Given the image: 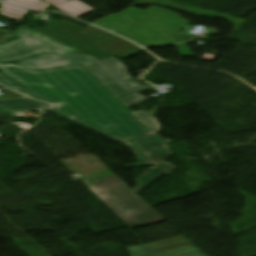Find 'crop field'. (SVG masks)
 Instances as JSON below:
<instances>
[{
  "label": "crop field",
  "instance_id": "crop-field-10",
  "mask_svg": "<svg viewBox=\"0 0 256 256\" xmlns=\"http://www.w3.org/2000/svg\"><path fill=\"white\" fill-rule=\"evenodd\" d=\"M50 4L54 5L56 8L64 11L65 13L78 18L82 15L90 13L94 11L93 9L89 8L88 6L82 4L77 0H45ZM6 3H10L19 7L27 8L30 10L42 11L48 6V3L41 2L40 0H9L3 1Z\"/></svg>",
  "mask_w": 256,
  "mask_h": 256
},
{
  "label": "crop field",
  "instance_id": "crop-field-9",
  "mask_svg": "<svg viewBox=\"0 0 256 256\" xmlns=\"http://www.w3.org/2000/svg\"><path fill=\"white\" fill-rule=\"evenodd\" d=\"M91 46L97 48L98 50H94L87 54L99 60L110 58L113 56H119L122 59H126L134 54L143 51V49H141L140 47L116 36L98 42Z\"/></svg>",
  "mask_w": 256,
  "mask_h": 256
},
{
  "label": "crop field",
  "instance_id": "crop-field-12",
  "mask_svg": "<svg viewBox=\"0 0 256 256\" xmlns=\"http://www.w3.org/2000/svg\"><path fill=\"white\" fill-rule=\"evenodd\" d=\"M50 106L40 103L26 97L16 100H0V116H16L23 117V112L27 111H43Z\"/></svg>",
  "mask_w": 256,
  "mask_h": 256
},
{
  "label": "crop field",
  "instance_id": "crop-field-2",
  "mask_svg": "<svg viewBox=\"0 0 256 256\" xmlns=\"http://www.w3.org/2000/svg\"><path fill=\"white\" fill-rule=\"evenodd\" d=\"M0 72L35 99L53 104L103 84L82 65L34 71L18 64H0Z\"/></svg>",
  "mask_w": 256,
  "mask_h": 256
},
{
  "label": "crop field",
  "instance_id": "crop-field-7",
  "mask_svg": "<svg viewBox=\"0 0 256 256\" xmlns=\"http://www.w3.org/2000/svg\"><path fill=\"white\" fill-rule=\"evenodd\" d=\"M101 80L119 99L131 96L149 87H142L127 76L124 65L113 58L83 65Z\"/></svg>",
  "mask_w": 256,
  "mask_h": 256
},
{
  "label": "crop field",
  "instance_id": "crop-field-17",
  "mask_svg": "<svg viewBox=\"0 0 256 256\" xmlns=\"http://www.w3.org/2000/svg\"><path fill=\"white\" fill-rule=\"evenodd\" d=\"M0 83L11 88L14 89L20 93H23L27 96H29L26 92H24L19 86H17L10 78L4 77V76H0ZM31 97V96H29Z\"/></svg>",
  "mask_w": 256,
  "mask_h": 256
},
{
  "label": "crop field",
  "instance_id": "crop-field-11",
  "mask_svg": "<svg viewBox=\"0 0 256 256\" xmlns=\"http://www.w3.org/2000/svg\"><path fill=\"white\" fill-rule=\"evenodd\" d=\"M97 61V59L86 54L71 55H40L18 64L29 69H44L58 66H71Z\"/></svg>",
  "mask_w": 256,
  "mask_h": 256
},
{
  "label": "crop field",
  "instance_id": "crop-field-3",
  "mask_svg": "<svg viewBox=\"0 0 256 256\" xmlns=\"http://www.w3.org/2000/svg\"><path fill=\"white\" fill-rule=\"evenodd\" d=\"M187 23L175 13L164 9L151 7L141 12L131 7L92 24L143 46H151L178 43L164 35Z\"/></svg>",
  "mask_w": 256,
  "mask_h": 256
},
{
  "label": "crop field",
  "instance_id": "crop-field-5",
  "mask_svg": "<svg viewBox=\"0 0 256 256\" xmlns=\"http://www.w3.org/2000/svg\"><path fill=\"white\" fill-rule=\"evenodd\" d=\"M11 33L19 39L0 46V63L16 62L39 53L79 52L25 26Z\"/></svg>",
  "mask_w": 256,
  "mask_h": 256
},
{
  "label": "crop field",
  "instance_id": "crop-field-14",
  "mask_svg": "<svg viewBox=\"0 0 256 256\" xmlns=\"http://www.w3.org/2000/svg\"><path fill=\"white\" fill-rule=\"evenodd\" d=\"M151 256H205L194 245L151 255Z\"/></svg>",
  "mask_w": 256,
  "mask_h": 256
},
{
  "label": "crop field",
  "instance_id": "crop-field-4",
  "mask_svg": "<svg viewBox=\"0 0 256 256\" xmlns=\"http://www.w3.org/2000/svg\"><path fill=\"white\" fill-rule=\"evenodd\" d=\"M93 186L90 189L131 228L164 221L116 176L98 180Z\"/></svg>",
  "mask_w": 256,
  "mask_h": 256
},
{
  "label": "crop field",
  "instance_id": "crop-field-13",
  "mask_svg": "<svg viewBox=\"0 0 256 256\" xmlns=\"http://www.w3.org/2000/svg\"><path fill=\"white\" fill-rule=\"evenodd\" d=\"M187 245H191V243L181 236L143 246H131L126 250L130 252L131 256H146Z\"/></svg>",
  "mask_w": 256,
  "mask_h": 256
},
{
  "label": "crop field",
  "instance_id": "crop-field-1",
  "mask_svg": "<svg viewBox=\"0 0 256 256\" xmlns=\"http://www.w3.org/2000/svg\"><path fill=\"white\" fill-rule=\"evenodd\" d=\"M73 105L64 107L78 112L91 121L53 106L49 111L110 139L131 146L140 162L137 167L154 163L133 139L151 134L150 131L105 85L67 99Z\"/></svg>",
  "mask_w": 256,
  "mask_h": 256
},
{
  "label": "crop field",
  "instance_id": "crop-field-19",
  "mask_svg": "<svg viewBox=\"0 0 256 256\" xmlns=\"http://www.w3.org/2000/svg\"><path fill=\"white\" fill-rule=\"evenodd\" d=\"M64 109V108H63ZM67 110V109H66ZM69 111V110H68ZM70 112H72V111H70ZM73 113H75V112H73ZM75 114H77V113H75ZM79 115V114H78ZM81 116V115H80ZM83 117V116H82ZM83 118H85V117H83ZM85 119H87V118H85ZM88 120V119H87ZM90 121V120H89Z\"/></svg>",
  "mask_w": 256,
  "mask_h": 256
},
{
  "label": "crop field",
  "instance_id": "crop-field-18",
  "mask_svg": "<svg viewBox=\"0 0 256 256\" xmlns=\"http://www.w3.org/2000/svg\"><path fill=\"white\" fill-rule=\"evenodd\" d=\"M144 100H147V99L139 94L121 99V101L124 102L127 105V107L134 105L136 103L142 102Z\"/></svg>",
  "mask_w": 256,
  "mask_h": 256
},
{
  "label": "crop field",
  "instance_id": "crop-field-8",
  "mask_svg": "<svg viewBox=\"0 0 256 256\" xmlns=\"http://www.w3.org/2000/svg\"><path fill=\"white\" fill-rule=\"evenodd\" d=\"M139 147L149 156V158L157 165L146 172L138 179L139 186L133 189L136 193L143 187L154 181L162 174L174 169V167L162 161V159L171 155L170 151L163 144L169 140L162 139L155 134L147 135L134 140ZM168 154H165V153Z\"/></svg>",
  "mask_w": 256,
  "mask_h": 256
},
{
  "label": "crop field",
  "instance_id": "crop-field-6",
  "mask_svg": "<svg viewBox=\"0 0 256 256\" xmlns=\"http://www.w3.org/2000/svg\"><path fill=\"white\" fill-rule=\"evenodd\" d=\"M47 22L51 25L32 29L81 52L94 50L88 45L112 35L94 26L89 25L83 28L65 19L49 20Z\"/></svg>",
  "mask_w": 256,
  "mask_h": 256
},
{
  "label": "crop field",
  "instance_id": "crop-field-16",
  "mask_svg": "<svg viewBox=\"0 0 256 256\" xmlns=\"http://www.w3.org/2000/svg\"><path fill=\"white\" fill-rule=\"evenodd\" d=\"M11 9H13V10H15V11H18V12H21V13H23V14H19V13L13 12V11H11ZM3 11H6V12H9V13H12V14H15V15L19 16V18L14 17V16H11V15H8V14H5V13H3ZM26 12H27V10H23V9H19V8H16V7H12V6H8V5L2 4V10H1L0 13L3 14V15H5V16H8V17H10V18H12V19H14V20H20V19L24 16V14H25Z\"/></svg>",
  "mask_w": 256,
  "mask_h": 256
},
{
  "label": "crop field",
  "instance_id": "crop-field-15",
  "mask_svg": "<svg viewBox=\"0 0 256 256\" xmlns=\"http://www.w3.org/2000/svg\"><path fill=\"white\" fill-rule=\"evenodd\" d=\"M150 130H152L153 132L158 131V125L157 123L154 121V119L152 118V114L153 111L151 112H135L134 113Z\"/></svg>",
  "mask_w": 256,
  "mask_h": 256
}]
</instances>
